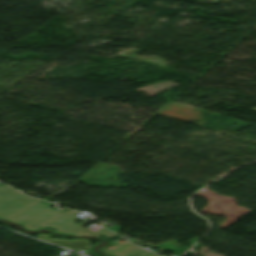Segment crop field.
<instances>
[{"label": "crop field", "instance_id": "crop-field-1", "mask_svg": "<svg viewBox=\"0 0 256 256\" xmlns=\"http://www.w3.org/2000/svg\"><path fill=\"white\" fill-rule=\"evenodd\" d=\"M37 201L39 200L26 197L4 185L0 187V217L15 222H26L29 228L42 224L43 227L62 233H72L82 228L74 224L77 218L74 212L68 210L61 214Z\"/></svg>", "mask_w": 256, "mask_h": 256}, {"label": "crop field", "instance_id": "crop-field-2", "mask_svg": "<svg viewBox=\"0 0 256 256\" xmlns=\"http://www.w3.org/2000/svg\"><path fill=\"white\" fill-rule=\"evenodd\" d=\"M48 236L47 235H43V234H39L38 238L47 242H51L57 245H61L67 248H71L74 250H85V249H89L91 242L90 241H86L83 239L80 240H58V239H54L52 238L51 240L46 239Z\"/></svg>", "mask_w": 256, "mask_h": 256}, {"label": "crop field", "instance_id": "crop-field-3", "mask_svg": "<svg viewBox=\"0 0 256 256\" xmlns=\"http://www.w3.org/2000/svg\"><path fill=\"white\" fill-rule=\"evenodd\" d=\"M117 256H154V254L134 246Z\"/></svg>", "mask_w": 256, "mask_h": 256}, {"label": "crop field", "instance_id": "crop-field-4", "mask_svg": "<svg viewBox=\"0 0 256 256\" xmlns=\"http://www.w3.org/2000/svg\"><path fill=\"white\" fill-rule=\"evenodd\" d=\"M254 98H255V97H254ZM255 100H256V98H255ZM251 111H256V108L251 109Z\"/></svg>", "mask_w": 256, "mask_h": 256}, {"label": "crop field", "instance_id": "crop-field-5", "mask_svg": "<svg viewBox=\"0 0 256 256\" xmlns=\"http://www.w3.org/2000/svg\"><path fill=\"white\" fill-rule=\"evenodd\" d=\"M79 256H82V255H79Z\"/></svg>", "mask_w": 256, "mask_h": 256}]
</instances>
